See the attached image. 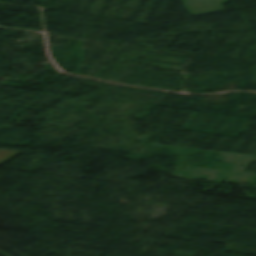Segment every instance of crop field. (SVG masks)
Returning <instances> with one entry per match:
<instances>
[{"instance_id": "obj_2", "label": "crop field", "mask_w": 256, "mask_h": 256, "mask_svg": "<svg viewBox=\"0 0 256 256\" xmlns=\"http://www.w3.org/2000/svg\"><path fill=\"white\" fill-rule=\"evenodd\" d=\"M22 152L0 150V164Z\"/></svg>"}, {"instance_id": "obj_1", "label": "crop field", "mask_w": 256, "mask_h": 256, "mask_svg": "<svg viewBox=\"0 0 256 256\" xmlns=\"http://www.w3.org/2000/svg\"><path fill=\"white\" fill-rule=\"evenodd\" d=\"M187 10L192 16L223 11L221 3L229 0H182ZM196 17V16H195Z\"/></svg>"}]
</instances>
